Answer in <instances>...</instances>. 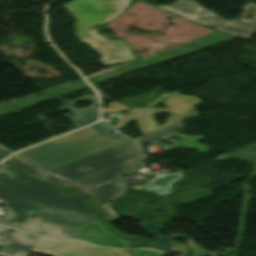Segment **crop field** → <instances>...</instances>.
<instances>
[{"instance_id":"1","label":"crop field","mask_w":256,"mask_h":256,"mask_svg":"<svg viewBox=\"0 0 256 256\" xmlns=\"http://www.w3.org/2000/svg\"><path fill=\"white\" fill-rule=\"evenodd\" d=\"M141 160L136 145L127 141L46 173L72 183L103 204L125 195L131 184L120 177L134 172Z\"/></svg>"},{"instance_id":"2","label":"crop field","mask_w":256,"mask_h":256,"mask_svg":"<svg viewBox=\"0 0 256 256\" xmlns=\"http://www.w3.org/2000/svg\"><path fill=\"white\" fill-rule=\"evenodd\" d=\"M0 202L8 209L0 224L19 231L43 207L95 214L85 200L28 175L8 179L0 173Z\"/></svg>"},{"instance_id":"3","label":"crop field","mask_w":256,"mask_h":256,"mask_svg":"<svg viewBox=\"0 0 256 256\" xmlns=\"http://www.w3.org/2000/svg\"><path fill=\"white\" fill-rule=\"evenodd\" d=\"M111 130L109 125L99 122L17 155L46 172L128 140L121 135L109 134Z\"/></svg>"},{"instance_id":"4","label":"crop field","mask_w":256,"mask_h":256,"mask_svg":"<svg viewBox=\"0 0 256 256\" xmlns=\"http://www.w3.org/2000/svg\"><path fill=\"white\" fill-rule=\"evenodd\" d=\"M157 7L203 25H215V30L238 37L249 39L250 34L256 32V5L250 2L242 7L245 11L232 21L216 16L193 0H176L172 5Z\"/></svg>"},{"instance_id":"5","label":"crop field","mask_w":256,"mask_h":256,"mask_svg":"<svg viewBox=\"0 0 256 256\" xmlns=\"http://www.w3.org/2000/svg\"><path fill=\"white\" fill-rule=\"evenodd\" d=\"M166 98L167 101L163 102L167 105L166 108L153 109V106L157 105V101L161 98ZM202 102L196 96H185L180 95L179 92L174 91L173 93H163L158 96L157 99L150 104H147V108H134L130 110L129 115L116 121L115 127L120 129L125 127L128 122L136 119L141 129L142 135L184 120L186 118L197 115L194 106L200 105ZM168 112L172 113L165 124L157 127L153 115Z\"/></svg>"},{"instance_id":"6","label":"crop field","mask_w":256,"mask_h":256,"mask_svg":"<svg viewBox=\"0 0 256 256\" xmlns=\"http://www.w3.org/2000/svg\"><path fill=\"white\" fill-rule=\"evenodd\" d=\"M77 19V35L83 41L93 38L90 28L115 18L128 6V0H73L64 5Z\"/></svg>"},{"instance_id":"7","label":"crop field","mask_w":256,"mask_h":256,"mask_svg":"<svg viewBox=\"0 0 256 256\" xmlns=\"http://www.w3.org/2000/svg\"><path fill=\"white\" fill-rule=\"evenodd\" d=\"M97 219L93 214L43 208L22 231L78 239L76 228Z\"/></svg>"},{"instance_id":"8","label":"crop field","mask_w":256,"mask_h":256,"mask_svg":"<svg viewBox=\"0 0 256 256\" xmlns=\"http://www.w3.org/2000/svg\"><path fill=\"white\" fill-rule=\"evenodd\" d=\"M79 239L93 245L110 248H130L127 241L107 230L101 220H97L77 228L75 231Z\"/></svg>"},{"instance_id":"9","label":"crop field","mask_w":256,"mask_h":256,"mask_svg":"<svg viewBox=\"0 0 256 256\" xmlns=\"http://www.w3.org/2000/svg\"><path fill=\"white\" fill-rule=\"evenodd\" d=\"M52 97L66 103L65 105L59 107L58 109L61 111H64V110L71 111V113L74 114L75 116L73 118H70V117H68V115H69L68 114V115H66V117L77 128L84 126L86 124L92 123V122L98 120V118H99L98 108L95 107V105L98 104V102H97L96 97L93 95H84L78 99L71 101V102L65 101L57 96H52ZM52 97H50L46 100L50 101ZM89 98H92V99H89ZM81 101H91L92 104L90 107L83 108V109H78L77 107L74 106L75 104H77Z\"/></svg>"},{"instance_id":"10","label":"crop field","mask_w":256,"mask_h":256,"mask_svg":"<svg viewBox=\"0 0 256 256\" xmlns=\"http://www.w3.org/2000/svg\"><path fill=\"white\" fill-rule=\"evenodd\" d=\"M92 48L102 55L101 62L106 65L135 58L130 53V46L122 40H95Z\"/></svg>"},{"instance_id":"11","label":"crop field","mask_w":256,"mask_h":256,"mask_svg":"<svg viewBox=\"0 0 256 256\" xmlns=\"http://www.w3.org/2000/svg\"><path fill=\"white\" fill-rule=\"evenodd\" d=\"M140 225L142 226L144 231L156 236V240L151 242L149 240H146V239H143L140 237L130 236L128 240L133 242L134 247H150V248H155V249L166 252V250L170 246V243H168V242L171 239H174V238L188 239L189 238L188 235L182 234V233L176 234L174 237L163 236L157 232L162 226L152 225V224H148V223H144V222H141Z\"/></svg>"},{"instance_id":"12","label":"crop field","mask_w":256,"mask_h":256,"mask_svg":"<svg viewBox=\"0 0 256 256\" xmlns=\"http://www.w3.org/2000/svg\"><path fill=\"white\" fill-rule=\"evenodd\" d=\"M80 244H82V242L40 236L31 251L43 254H50L61 249L74 250Z\"/></svg>"},{"instance_id":"13","label":"crop field","mask_w":256,"mask_h":256,"mask_svg":"<svg viewBox=\"0 0 256 256\" xmlns=\"http://www.w3.org/2000/svg\"><path fill=\"white\" fill-rule=\"evenodd\" d=\"M50 255H53V256H130V251L100 250L83 243L74 251L61 250Z\"/></svg>"},{"instance_id":"14","label":"crop field","mask_w":256,"mask_h":256,"mask_svg":"<svg viewBox=\"0 0 256 256\" xmlns=\"http://www.w3.org/2000/svg\"><path fill=\"white\" fill-rule=\"evenodd\" d=\"M7 161L19 170H22V171L29 173L35 177H38L42 180H45L49 183H52L56 186H59V187L65 189L64 185L60 183L63 180L42 172L40 169L36 168L35 166L28 163L27 161H25L24 159L20 158L17 155Z\"/></svg>"},{"instance_id":"15","label":"crop field","mask_w":256,"mask_h":256,"mask_svg":"<svg viewBox=\"0 0 256 256\" xmlns=\"http://www.w3.org/2000/svg\"><path fill=\"white\" fill-rule=\"evenodd\" d=\"M38 238L39 236L37 235L10 232L3 245L31 250Z\"/></svg>"},{"instance_id":"16","label":"crop field","mask_w":256,"mask_h":256,"mask_svg":"<svg viewBox=\"0 0 256 256\" xmlns=\"http://www.w3.org/2000/svg\"><path fill=\"white\" fill-rule=\"evenodd\" d=\"M172 136L182 137V138H185V139L182 140V141L174 143V145H172V146H163L162 148L165 149L166 151L172 150V149L180 147V146H185L189 149L196 148V149H198L199 151H201L203 153H205L209 149H211L210 147H208L206 145L195 143V141L203 139L202 135L189 136V135H183V134H175V135H172ZM168 137H170V136H168Z\"/></svg>"},{"instance_id":"17","label":"crop field","mask_w":256,"mask_h":256,"mask_svg":"<svg viewBox=\"0 0 256 256\" xmlns=\"http://www.w3.org/2000/svg\"><path fill=\"white\" fill-rule=\"evenodd\" d=\"M62 183L65 184L66 189H68L69 191L78 194V195H82V196H88V200L90 201V203L92 204V206L94 207V209L97 211V213L100 215V217L103 219V221L106 223V225L113 229L114 231H116L117 233H119L120 235L124 236L125 238H128V235L123 234L119 231H117L114 227L111 226L110 221H109V217L108 214L106 212V210H104L103 208H101L96 201L90 197L88 194L84 193L83 191H81L80 189L76 188L75 186H73L72 184L63 181Z\"/></svg>"},{"instance_id":"18","label":"crop field","mask_w":256,"mask_h":256,"mask_svg":"<svg viewBox=\"0 0 256 256\" xmlns=\"http://www.w3.org/2000/svg\"><path fill=\"white\" fill-rule=\"evenodd\" d=\"M183 122L184 121H181L179 123L173 124L171 126L165 127L163 129L157 130V131L149 133L147 135L141 136L134 140L137 142L140 149L143 150L141 143L161 137V136H165V135L174 133L176 131V129L180 128V126L183 124Z\"/></svg>"},{"instance_id":"19","label":"crop field","mask_w":256,"mask_h":256,"mask_svg":"<svg viewBox=\"0 0 256 256\" xmlns=\"http://www.w3.org/2000/svg\"><path fill=\"white\" fill-rule=\"evenodd\" d=\"M29 251L1 246V256H26Z\"/></svg>"},{"instance_id":"20","label":"crop field","mask_w":256,"mask_h":256,"mask_svg":"<svg viewBox=\"0 0 256 256\" xmlns=\"http://www.w3.org/2000/svg\"><path fill=\"white\" fill-rule=\"evenodd\" d=\"M109 105H110L109 108L102 109L103 112H105V113H112V112H116V111H128V110H130L129 107H127V106H125L123 104H120L118 102H112Z\"/></svg>"},{"instance_id":"21","label":"crop field","mask_w":256,"mask_h":256,"mask_svg":"<svg viewBox=\"0 0 256 256\" xmlns=\"http://www.w3.org/2000/svg\"><path fill=\"white\" fill-rule=\"evenodd\" d=\"M0 172H2L4 175H6L9 178L24 175L23 173L17 172L10 168L7 164L3 163L0 165ZM8 178V179H9Z\"/></svg>"},{"instance_id":"22","label":"crop field","mask_w":256,"mask_h":256,"mask_svg":"<svg viewBox=\"0 0 256 256\" xmlns=\"http://www.w3.org/2000/svg\"><path fill=\"white\" fill-rule=\"evenodd\" d=\"M135 256H162L153 250H135Z\"/></svg>"},{"instance_id":"23","label":"crop field","mask_w":256,"mask_h":256,"mask_svg":"<svg viewBox=\"0 0 256 256\" xmlns=\"http://www.w3.org/2000/svg\"><path fill=\"white\" fill-rule=\"evenodd\" d=\"M101 207H103L104 209H106L109 213V217H110V221H114L118 218H120L118 215H116L111 209H110V206H109V203H105L103 205H101Z\"/></svg>"},{"instance_id":"24","label":"crop field","mask_w":256,"mask_h":256,"mask_svg":"<svg viewBox=\"0 0 256 256\" xmlns=\"http://www.w3.org/2000/svg\"><path fill=\"white\" fill-rule=\"evenodd\" d=\"M10 231L11 229L4 226H0V243L4 242Z\"/></svg>"},{"instance_id":"25","label":"crop field","mask_w":256,"mask_h":256,"mask_svg":"<svg viewBox=\"0 0 256 256\" xmlns=\"http://www.w3.org/2000/svg\"><path fill=\"white\" fill-rule=\"evenodd\" d=\"M10 154V152H8L7 150H5L4 148L0 147V155H2L3 157Z\"/></svg>"},{"instance_id":"26","label":"crop field","mask_w":256,"mask_h":256,"mask_svg":"<svg viewBox=\"0 0 256 256\" xmlns=\"http://www.w3.org/2000/svg\"><path fill=\"white\" fill-rule=\"evenodd\" d=\"M91 33H92V32H91ZM92 34H93V33H92ZM93 36H94V39H101L100 37L96 36L95 34H93ZM94 39L88 40V41H84V42L87 43V44H89V45L91 46L92 41H93Z\"/></svg>"},{"instance_id":"27","label":"crop field","mask_w":256,"mask_h":256,"mask_svg":"<svg viewBox=\"0 0 256 256\" xmlns=\"http://www.w3.org/2000/svg\"><path fill=\"white\" fill-rule=\"evenodd\" d=\"M0 246H1V244H0Z\"/></svg>"},{"instance_id":"28","label":"crop field","mask_w":256,"mask_h":256,"mask_svg":"<svg viewBox=\"0 0 256 256\" xmlns=\"http://www.w3.org/2000/svg\"><path fill=\"white\" fill-rule=\"evenodd\" d=\"M1 160V159H0Z\"/></svg>"}]
</instances>
